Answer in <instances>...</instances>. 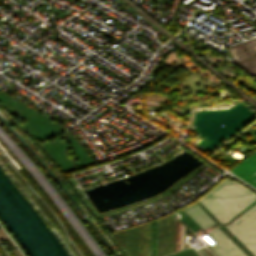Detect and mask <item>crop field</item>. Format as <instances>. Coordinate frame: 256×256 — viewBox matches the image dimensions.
Returning <instances> with one entry per match:
<instances>
[{
  "instance_id": "obj_1",
  "label": "crop field",
  "mask_w": 256,
  "mask_h": 256,
  "mask_svg": "<svg viewBox=\"0 0 256 256\" xmlns=\"http://www.w3.org/2000/svg\"><path fill=\"white\" fill-rule=\"evenodd\" d=\"M255 199L256 194L243 185L224 180L199 201L221 222H225ZM184 210L203 228L214 222L196 203Z\"/></svg>"
},
{
  "instance_id": "obj_2",
  "label": "crop field",
  "mask_w": 256,
  "mask_h": 256,
  "mask_svg": "<svg viewBox=\"0 0 256 256\" xmlns=\"http://www.w3.org/2000/svg\"><path fill=\"white\" fill-rule=\"evenodd\" d=\"M228 52L234 61L256 76V39L229 47Z\"/></svg>"
},
{
  "instance_id": "obj_3",
  "label": "crop field",
  "mask_w": 256,
  "mask_h": 256,
  "mask_svg": "<svg viewBox=\"0 0 256 256\" xmlns=\"http://www.w3.org/2000/svg\"><path fill=\"white\" fill-rule=\"evenodd\" d=\"M208 235L218 243L211 247L218 256H246L218 227Z\"/></svg>"
},
{
  "instance_id": "obj_4",
  "label": "crop field",
  "mask_w": 256,
  "mask_h": 256,
  "mask_svg": "<svg viewBox=\"0 0 256 256\" xmlns=\"http://www.w3.org/2000/svg\"><path fill=\"white\" fill-rule=\"evenodd\" d=\"M230 171L256 187V154Z\"/></svg>"
}]
</instances>
